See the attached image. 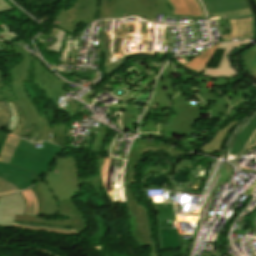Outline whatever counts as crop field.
I'll return each mask as SVG.
<instances>
[{"instance_id":"crop-field-5","label":"crop field","mask_w":256,"mask_h":256,"mask_svg":"<svg viewBox=\"0 0 256 256\" xmlns=\"http://www.w3.org/2000/svg\"><path fill=\"white\" fill-rule=\"evenodd\" d=\"M131 184L123 183L125 205L129 210L130 224L132 226L131 235L132 238L138 243L140 247L150 246V256H157L156 247L152 243L148 217L145 208L141 206L132 194L130 189Z\"/></svg>"},{"instance_id":"crop-field-22","label":"crop field","mask_w":256,"mask_h":256,"mask_svg":"<svg viewBox=\"0 0 256 256\" xmlns=\"http://www.w3.org/2000/svg\"><path fill=\"white\" fill-rule=\"evenodd\" d=\"M71 135L72 134L66 133V125L59 124L52 142L63 146L69 145L74 138Z\"/></svg>"},{"instance_id":"crop-field-25","label":"crop field","mask_w":256,"mask_h":256,"mask_svg":"<svg viewBox=\"0 0 256 256\" xmlns=\"http://www.w3.org/2000/svg\"><path fill=\"white\" fill-rule=\"evenodd\" d=\"M10 119V112L6 103L0 102V128L5 129Z\"/></svg>"},{"instance_id":"crop-field-15","label":"crop field","mask_w":256,"mask_h":256,"mask_svg":"<svg viewBox=\"0 0 256 256\" xmlns=\"http://www.w3.org/2000/svg\"><path fill=\"white\" fill-rule=\"evenodd\" d=\"M173 9L172 15L202 17L200 8L195 0H168Z\"/></svg>"},{"instance_id":"crop-field-31","label":"crop field","mask_w":256,"mask_h":256,"mask_svg":"<svg viewBox=\"0 0 256 256\" xmlns=\"http://www.w3.org/2000/svg\"><path fill=\"white\" fill-rule=\"evenodd\" d=\"M256 145V130L254 131L252 137L249 139V141L247 142V144L245 145L244 149L242 152L246 151L247 149H249L250 147ZM241 152V153H242ZM240 154V153H239Z\"/></svg>"},{"instance_id":"crop-field-16","label":"crop field","mask_w":256,"mask_h":256,"mask_svg":"<svg viewBox=\"0 0 256 256\" xmlns=\"http://www.w3.org/2000/svg\"><path fill=\"white\" fill-rule=\"evenodd\" d=\"M40 190L43 199H44V204L45 208L42 212L41 215H46V216H56L59 215L58 211V204L53 196V194L50 192V190L46 187V185L42 182L41 178L35 183Z\"/></svg>"},{"instance_id":"crop-field-14","label":"crop field","mask_w":256,"mask_h":256,"mask_svg":"<svg viewBox=\"0 0 256 256\" xmlns=\"http://www.w3.org/2000/svg\"><path fill=\"white\" fill-rule=\"evenodd\" d=\"M21 194L24 197L26 203L25 215L39 217L44 204L42 196L37 187L34 185L25 191H21Z\"/></svg>"},{"instance_id":"crop-field-21","label":"crop field","mask_w":256,"mask_h":256,"mask_svg":"<svg viewBox=\"0 0 256 256\" xmlns=\"http://www.w3.org/2000/svg\"><path fill=\"white\" fill-rule=\"evenodd\" d=\"M240 121L232 122L230 123L225 129H220L216 135L214 136L213 140L210 141L208 144L204 145L199 151L209 155L212 153L214 150L220 151V146L225 138L227 131L234 125L238 124Z\"/></svg>"},{"instance_id":"crop-field-13","label":"crop field","mask_w":256,"mask_h":256,"mask_svg":"<svg viewBox=\"0 0 256 256\" xmlns=\"http://www.w3.org/2000/svg\"><path fill=\"white\" fill-rule=\"evenodd\" d=\"M7 47L9 50L6 51H13L14 53L22 54L25 57L21 62L9 69L13 81H26L29 74L27 73V69L30 67L31 54L25 49L16 45L9 44Z\"/></svg>"},{"instance_id":"crop-field-3","label":"crop field","mask_w":256,"mask_h":256,"mask_svg":"<svg viewBox=\"0 0 256 256\" xmlns=\"http://www.w3.org/2000/svg\"><path fill=\"white\" fill-rule=\"evenodd\" d=\"M57 164L56 169L45 176V184L56 197L57 201L67 200L74 198L84 193L78 184L87 182V190L95 194H105L99 176L90 180L81 179L79 177V170L75 156L67 159L56 156Z\"/></svg>"},{"instance_id":"crop-field-32","label":"crop field","mask_w":256,"mask_h":256,"mask_svg":"<svg viewBox=\"0 0 256 256\" xmlns=\"http://www.w3.org/2000/svg\"><path fill=\"white\" fill-rule=\"evenodd\" d=\"M11 8L6 4L4 0H0V12L9 11Z\"/></svg>"},{"instance_id":"crop-field-1","label":"crop field","mask_w":256,"mask_h":256,"mask_svg":"<svg viewBox=\"0 0 256 256\" xmlns=\"http://www.w3.org/2000/svg\"><path fill=\"white\" fill-rule=\"evenodd\" d=\"M67 1H62L53 26H60L72 34L78 23L88 26L102 18L137 15L152 22L154 14L170 15L166 0H78L73 9L65 12Z\"/></svg>"},{"instance_id":"crop-field-34","label":"crop field","mask_w":256,"mask_h":256,"mask_svg":"<svg viewBox=\"0 0 256 256\" xmlns=\"http://www.w3.org/2000/svg\"><path fill=\"white\" fill-rule=\"evenodd\" d=\"M196 1H197V3L199 4V6H200V8H201V10H202V13H203V17L205 18V16H204V10H203V7H202V5L200 4L199 0H196Z\"/></svg>"},{"instance_id":"crop-field-35","label":"crop field","mask_w":256,"mask_h":256,"mask_svg":"<svg viewBox=\"0 0 256 256\" xmlns=\"http://www.w3.org/2000/svg\"><path fill=\"white\" fill-rule=\"evenodd\" d=\"M215 19H219V17H216V18H211V19H209V20H215Z\"/></svg>"},{"instance_id":"crop-field-10","label":"crop field","mask_w":256,"mask_h":256,"mask_svg":"<svg viewBox=\"0 0 256 256\" xmlns=\"http://www.w3.org/2000/svg\"><path fill=\"white\" fill-rule=\"evenodd\" d=\"M25 203L20 194L14 193L0 197V226L12 228L15 214L24 215Z\"/></svg>"},{"instance_id":"crop-field-9","label":"crop field","mask_w":256,"mask_h":256,"mask_svg":"<svg viewBox=\"0 0 256 256\" xmlns=\"http://www.w3.org/2000/svg\"><path fill=\"white\" fill-rule=\"evenodd\" d=\"M35 65V81L43 92L52 100L54 103L60 98L61 94L67 92L59 84H67L56 75L47 71L38 60H34Z\"/></svg>"},{"instance_id":"crop-field-11","label":"crop field","mask_w":256,"mask_h":256,"mask_svg":"<svg viewBox=\"0 0 256 256\" xmlns=\"http://www.w3.org/2000/svg\"><path fill=\"white\" fill-rule=\"evenodd\" d=\"M246 43H248V42H246ZM246 43L220 44L218 49H224L225 52L223 54V57L221 59L218 69L204 68L201 75L212 76V77H235L236 72L233 70V68L230 67V63H229L227 57L230 54V51L235 49V47H237L241 44H246Z\"/></svg>"},{"instance_id":"crop-field-29","label":"crop field","mask_w":256,"mask_h":256,"mask_svg":"<svg viewBox=\"0 0 256 256\" xmlns=\"http://www.w3.org/2000/svg\"><path fill=\"white\" fill-rule=\"evenodd\" d=\"M15 191H20V190L18 188L14 187L9 182L0 178V195L15 192Z\"/></svg>"},{"instance_id":"crop-field-26","label":"crop field","mask_w":256,"mask_h":256,"mask_svg":"<svg viewBox=\"0 0 256 256\" xmlns=\"http://www.w3.org/2000/svg\"><path fill=\"white\" fill-rule=\"evenodd\" d=\"M11 112L10 122L5 130L12 132L18 123V114L12 103H7Z\"/></svg>"},{"instance_id":"crop-field-38","label":"crop field","mask_w":256,"mask_h":256,"mask_svg":"<svg viewBox=\"0 0 256 256\" xmlns=\"http://www.w3.org/2000/svg\"><path fill=\"white\" fill-rule=\"evenodd\" d=\"M52 137H53V135H52ZM51 137H48V139L47 140H49Z\"/></svg>"},{"instance_id":"crop-field-24","label":"crop field","mask_w":256,"mask_h":256,"mask_svg":"<svg viewBox=\"0 0 256 256\" xmlns=\"http://www.w3.org/2000/svg\"><path fill=\"white\" fill-rule=\"evenodd\" d=\"M244 65L256 77V46L246 52L243 58ZM253 66V68H251Z\"/></svg>"},{"instance_id":"crop-field-7","label":"crop field","mask_w":256,"mask_h":256,"mask_svg":"<svg viewBox=\"0 0 256 256\" xmlns=\"http://www.w3.org/2000/svg\"><path fill=\"white\" fill-rule=\"evenodd\" d=\"M160 150L166 151L167 155H171V156H177L181 154H191L190 152L182 151V150L175 149L162 144L135 138L133 140L131 150L127 158L128 169H127L126 182H136L135 168L139 160H141V158L146 152H155Z\"/></svg>"},{"instance_id":"crop-field-18","label":"crop field","mask_w":256,"mask_h":256,"mask_svg":"<svg viewBox=\"0 0 256 256\" xmlns=\"http://www.w3.org/2000/svg\"><path fill=\"white\" fill-rule=\"evenodd\" d=\"M13 228L32 230V231H41V232H51V233L77 234L75 229L34 225V224H26V223H18V222H14Z\"/></svg>"},{"instance_id":"crop-field-30","label":"crop field","mask_w":256,"mask_h":256,"mask_svg":"<svg viewBox=\"0 0 256 256\" xmlns=\"http://www.w3.org/2000/svg\"><path fill=\"white\" fill-rule=\"evenodd\" d=\"M2 29L5 31L3 33H0V35H6L4 40L11 41L12 39L16 38L17 35L14 34L11 30L7 28V26L2 27Z\"/></svg>"},{"instance_id":"crop-field-20","label":"crop field","mask_w":256,"mask_h":256,"mask_svg":"<svg viewBox=\"0 0 256 256\" xmlns=\"http://www.w3.org/2000/svg\"><path fill=\"white\" fill-rule=\"evenodd\" d=\"M219 44L214 45L209 50H207L202 55H199L198 57L194 58L190 62H188L183 67L197 73L200 75L202 69L205 67L207 62L210 60V58L213 56L215 50L218 48Z\"/></svg>"},{"instance_id":"crop-field-23","label":"crop field","mask_w":256,"mask_h":256,"mask_svg":"<svg viewBox=\"0 0 256 256\" xmlns=\"http://www.w3.org/2000/svg\"><path fill=\"white\" fill-rule=\"evenodd\" d=\"M0 101L16 102V99L9 87V84L5 83V80L1 71H0Z\"/></svg>"},{"instance_id":"crop-field-36","label":"crop field","mask_w":256,"mask_h":256,"mask_svg":"<svg viewBox=\"0 0 256 256\" xmlns=\"http://www.w3.org/2000/svg\"><path fill=\"white\" fill-rule=\"evenodd\" d=\"M253 17V20H254V16H252ZM254 30H255V24H254ZM254 35H256V30H255V34Z\"/></svg>"},{"instance_id":"crop-field-8","label":"crop field","mask_w":256,"mask_h":256,"mask_svg":"<svg viewBox=\"0 0 256 256\" xmlns=\"http://www.w3.org/2000/svg\"><path fill=\"white\" fill-rule=\"evenodd\" d=\"M204 4L208 17L220 16L224 17H239L252 15L247 0H201Z\"/></svg>"},{"instance_id":"crop-field-33","label":"crop field","mask_w":256,"mask_h":256,"mask_svg":"<svg viewBox=\"0 0 256 256\" xmlns=\"http://www.w3.org/2000/svg\"><path fill=\"white\" fill-rule=\"evenodd\" d=\"M6 134H7V132H4V131L0 130V145H1L2 141H3V139L5 138Z\"/></svg>"},{"instance_id":"crop-field-19","label":"crop field","mask_w":256,"mask_h":256,"mask_svg":"<svg viewBox=\"0 0 256 256\" xmlns=\"http://www.w3.org/2000/svg\"><path fill=\"white\" fill-rule=\"evenodd\" d=\"M19 140L20 138L8 133L0 149V162L10 163Z\"/></svg>"},{"instance_id":"crop-field-27","label":"crop field","mask_w":256,"mask_h":256,"mask_svg":"<svg viewBox=\"0 0 256 256\" xmlns=\"http://www.w3.org/2000/svg\"><path fill=\"white\" fill-rule=\"evenodd\" d=\"M219 175H220V178H218L217 181L227 183L230 176L232 175V168L228 164L223 163Z\"/></svg>"},{"instance_id":"crop-field-6","label":"crop field","mask_w":256,"mask_h":256,"mask_svg":"<svg viewBox=\"0 0 256 256\" xmlns=\"http://www.w3.org/2000/svg\"><path fill=\"white\" fill-rule=\"evenodd\" d=\"M58 204H59L60 215L68 216L69 219L44 220L41 218L16 215L14 221L43 224V225H52V226H61V227H70V228H75L78 233L86 230V228L88 227L86 218L83 215V213L80 211V209L76 206V204L73 202L72 199L59 202Z\"/></svg>"},{"instance_id":"crop-field-17","label":"crop field","mask_w":256,"mask_h":256,"mask_svg":"<svg viewBox=\"0 0 256 256\" xmlns=\"http://www.w3.org/2000/svg\"><path fill=\"white\" fill-rule=\"evenodd\" d=\"M254 129H256V115L250 120V122L240 132V134L232 144L231 152L237 154L238 152L242 151L245 143L250 138Z\"/></svg>"},{"instance_id":"crop-field-37","label":"crop field","mask_w":256,"mask_h":256,"mask_svg":"<svg viewBox=\"0 0 256 256\" xmlns=\"http://www.w3.org/2000/svg\"><path fill=\"white\" fill-rule=\"evenodd\" d=\"M4 24L0 21V28L3 26Z\"/></svg>"},{"instance_id":"crop-field-12","label":"crop field","mask_w":256,"mask_h":256,"mask_svg":"<svg viewBox=\"0 0 256 256\" xmlns=\"http://www.w3.org/2000/svg\"><path fill=\"white\" fill-rule=\"evenodd\" d=\"M230 34L222 35L224 39L238 36L240 38L252 37L254 34L252 17L227 19Z\"/></svg>"},{"instance_id":"crop-field-28","label":"crop field","mask_w":256,"mask_h":256,"mask_svg":"<svg viewBox=\"0 0 256 256\" xmlns=\"http://www.w3.org/2000/svg\"><path fill=\"white\" fill-rule=\"evenodd\" d=\"M14 105L16 106V109L18 110V114H19V124L16 127V129L13 131L14 134L18 135L24 128L26 121H25V116L24 113L22 111V109L20 108V106L18 105V103H14Z\"/></svg>"},{"instance_id":"crop-field-4","label":"crop field","mask_w":256,"mask_h":256,"mask_svg":"<svg viewBox=\"0 0 256 256\" xmlns=\"http://www.w3.org/2000/svg\"><path fill=\"white\" fill-rule=\"evenodd\" d=\"M9 84L17 102L25 113L27 121L24 130L19 134V136L22 138H24L25 135L33 137L35 133H38L40 135L34 142H39L46 140L49 133L54 134L57 124H54L53 128H48V123L44 113L36 111L33 107L30 98L22 86V82H9Z\"/></svg>"},{"instance_id":"crop-field-2","label":"crop field","mask_w":256,"mask_h":256,"mask_svg":"<svg viewBox=\"0 0 256 256\" xmlns=\"http://www.w3.org/2000/svg\"><path fill=\"white\" fill-rule=\"evenodd\" d=\"M42 147L21 139L10 165L0 163V177L8 180L21 190L29 188L41 175L50 171L54 155L63 148L42 142Z\"/></svg>"}]
</instances>
